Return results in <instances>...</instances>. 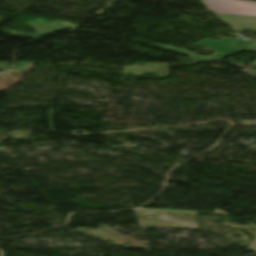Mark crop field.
<instances>
[{
    "label": "crop field",
    "mask_w": 256,
    "mask_h": 256,
    "mask_svg": "<svg viewBox=\"0 0 256 256\" xmlns=\"http://www.w3.org/2000/svg\"><path fill=\"white\" fill-rule=\"evenodd\" d=\"M216 18L224 21L229 26H231L236 32H240L242 30H252L256 31V18L251 17H237V16H226V15H218L213 14ZM197 45H204L216 51L215 54L205 57L201 55H197L191 53L190 51L170 45H161L152 43L153 46L187 54L192 59L197 61H210V60H221L229 55L234 53L250 50L256 52V40L255 39H247V38H220L218 40H209L204 39L202 41L196 42Z\"/></svg>",
    "instance_id": "crop-field-1"
},
{
    "label": "crop field",
    "mask_w": 256,
    "mask_h": 256,
    "mask_svg": "<svg viewBox=\"0 0 256 256\" xmlns=\"http://www.w3.org/2000/svg\"><path fill=\"white\" fill-rule=\"evenodd\" d=\"M213 12L256 16V3L241 0H202Z\"/></svg>",
    "instance_id": "crop-field-2"
},
{
    "label": "crop field",
    "mask_w": 256,
    "mask_h": 256,
    "mask_svg": "<svg viewBox=\"0 0 256 256\" xmlns=\"http://www.w3.org/2000/svg\"><path fill=\"white\" fill-rule=\"evenodd\" d=\"M252 64H256V61H254Z\"/></svg>",
    "instance_id": "crop-field-3"
}]
</instances>
